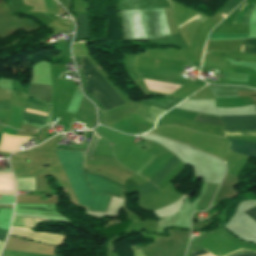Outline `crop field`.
I'll use <instances>...</instances> for the list:
<instances>
[{"label":"crop field","instance_id":"crop-field-17","mask_svg":"<svg viewBox=\"0 0 256 256\" xmlns=\"http://www.w3.org/2000/svg\"><path fill=\"white\" fill-rule=\"evenodd\" d=\"M47 221L40 218L14 217L12 225L33 228L36 222Z\"/></svg>","mask_w":256,"mask_h":256},{"label":"crop field","instance_id":"crop-field-22","mask_svg":"<svg viewBox=\"0 0 256 256\" xmlns=\"http://www.w3.org/2000/svg\"><path fill=\"white\" fill-rule=\"evenodd\" d=\"M1 256H47V255L21 253V252H11V251H5L4 250Z\"/></svg>","mask_w":256,"mask_h":256},{"label":"crop field","instance_id":"crop-field-8","mask_svg":"<svg viewBox=\"0 0 256 256\" xmlns=\"http://www.w3.org/2000/svg\"><path fill=\"white\" fill-rule=\"evenodd\" d=\"M212 33H248V26L219 25ZM248 34H211L210 38H244Z\"/></svg>","mask_w":256,"mask_h":256},{"label":"crop field","instance_id":"crop-field-31","mask_svg":"<svg viewBox=\"0 0 256 256\" xmlns=\"http://www.w3.org/2000/svg\"><path fill=\"white\" fill-rule=\"evenodd\" d=\"M3 1L2 0H0V3H2Z\"/></svg>","mask_w":256,"mask_h":256},{"label":"crop field","instance_id":"crop-field-11","mask_svg":"<svg viewBox=\"0 0 256 256\" xmlns=\"http://www.w3.org/2000/svg\"><path fill=\"white\" fill-rule=\"evenodd\" d=\"M0 193L15 194V183L10 169H0Z\"/></svg>","mask_w":256,"mask_h":256},{"label":"crop field","instance_id":"crop-field-2","mask_svg":"<svg viewBox=\"0 0 256 256\" xmlns=\"http://www.w3.org/2000/svg\"><path fill=\"white\" fill-rule=\"evenodd\" d=\"M146 39L168 36L164 8L139 10ZM138 10L122 11L124 38L145 39Z\"/></svg>","mask_w":256,"mask_h":256},{"label":"crop field","instance_id":"crop-field-13","mask_svg":"<svg viewBox=\"0 0 256 256\" xmlns=\"http://www.w3.org/2000/svg\"><path fill=\"white\" fill-rule=\"evenodd\" d=\"M210 89L213 91L215 98L237 97L236 90H252L244 87H232V86H210Z\"/></svg>","mask_w":256,"mask_h":256},{"label":"crop field","instance_id":"crop-field-5","mask_svg":"<svg viewBox=\"0 0 256 256\" xmlns=\"http://www.w3.org/2000/svg\"><path fill=\"white\" fill-rule=\"evenodd\" d=\"M246 44L245 52L256 55V40H243ZM245 45H243L244 52ZM242 40L238 41H208L207 51H241Z\"/></svg>","mask_w":256,"mask_h":256},{"label":"crop field","instance_id":"crop-field-32","mask_svg":"<svg viewBox=\"0 0 256 256\" xmlns=\"http://www.w3.org/2000/svg\"><path fill=\"white\" fill-rule=\"evenodd\" d=\"M0 137H1V133H0Z\"/></svg>","mask_w":256,"mask_h":256},{"label":"crop field","instance_id":"crop-field-1","mask_svg":"<svg viewBox=\"0 0 256 256\" xmlns=\"http://www.w3.org/2000/svg\"><path fill=\"white\" fill-rule=\"evenodd\" d=\"M79 203L88 210L106 212L110 195H92L83 175L86 150L54 148Z\"/></svg>","mask_w":256,"mask_h":256},{"label":"crop field","instance_id":"crop-field-10","mask_svg":"<svg viewBox=\"0 0 256 256\" xmlns=\"http://www.w3.org/2000/svg\"><path fill=\"white\" fill-rule=\"evenodd\" d=\"M230 143V150L239 152L243 155L250 156L256 158V144L238 141V140H231L228 139Z\"/></svg>","mask_w":256,"mask_h":256},{"label":"crop field","instance_id":"crop-field-23","mask_svg":"<svg viewBox=\"0 0 256 256\" xmlns=\"http://www.w3.org/2000/svg\"><path fill=\"white\" fill-rule=\"evenodd\" d=\"M207 18L208 17L198 13L195 16H193L192 18H190L189 20H187L186 22H184L183 24H181L180 26H178V28L183 26V25H185V24H187V23H189V22H191V21H193V20H196V21H199V22L203 23L202 21L207 19Z\"/></svg>","mask_w":256,"mask_h":256},{"label":"crop field","instance_id":"crop-field-12","mask_svg":"<svg viewBox=\"0 0 256 256\" xmlns=\"http://www.w3.org/2000/svg\"><path fill=\"white\" fill-rule=\"evenodd\" d=\"M11 164L15 177H31L29 165L24 158L14 156L11 158Z\"/></svg>","mask_w":256,"mask_h":256},{"label":"crop field","instance_id":"crop-field-25","mask_svg":"<svg viewBox=\"0 0 256 256\" xmlns=\"http://www.w3.org/2000/svg\"><path fill=\"white\" fill-rule=\"evenodd\" d=\"M58 2L67 10L70 16H73V14L70 12V8H71L70 0H58Z\"/></svg>","mask_w":256,"mask_h":256},{"label":"crop field","instance_id":"crop-field-33","mask_svg":"<svg viewBox=\"0 0 256 256\" xmlns=\"http://www.w3.org/2000/svg\"><path fill=\"white\" fill-rule=\"evenodd\" d=\"M254 256H256V255H254Z\"/></svg>","mask_w":256,"mask_h":256},{"label":"crop field","instance_id":"crop-field-28","mask_svg":"<svg viewBox=\"0 0 256 256\" xmlns=\"http://www.w3.org/2000/svg\"><path fill=\"white\" fill-rule=\"evenodd\" d=\"M245 213L248 214L251 218H253L256 221V207Z\"/></svg>","mask_w":256,"mask_h":256},{"label":"crop field","instance_id":"crop-field-29","mask_svg":"<svg viewBox=\"0 0 256 256\" xmlns=\"http://www.w3.org/2000/svg\"><path fill=\"white\" fill-rule=\"evenodd\" d=\"M4 133H9V134H13V135H16L17 131L16 130H13V129H10V128H7L5 127V129L3 130Z\"/></svg>","mask_w":256,"mask_h":256},{"label":"crop field","instance_id":"crop-field-6","mask_svg":"<svg viewBox=\"0 0 256 256\" xmlns=\"http://www.w3.org/2000/svg\"><path fill=\"white\" fill-rule=\"evenodd\" d=\"M25 108L30 109V110H35V111L46 112V113H48V111H49V106H47L43 103L34 101L29 98H27V100H26ZM26 109H24V111H26V112H30V113H34V114H38V115H42V116H46V117L48 115L46 113L35 112V111L26 110ZM23 120L44 125L46 118L24 112Z\"/></svg>","mask_w":256,"mask_h":256},{"label":"crop field","instance_id":"crop-field-30","mask_svg":"<svg viewBox=\"0 0 256 256\" xmlns=\"http://www.w3.org/2000/svg\"><path fill=\"white\" fill-rule=\"evenodd\" d=\"M9 109V101L0 103V110Z\"/></svg>","mask_w":256,"mask_h":256},{"label":"crop field","instance_id":"crop-field-9","mask_svg":"<svg viewBox=\"0 0 256 256\" xmlns=\"http://www.w3.org/2000/svg\"><path fill=\"white\" fill-rule=\"evenodd\" d=\"M28 96L50 104L52 99L50 85L31 84Z\"/></svg>","mask_w":256,"mask_h":256},{"label":"crop field","instance_id":"crop-field-15","mask_svg":"<svg viewBox=\"0 0 256 256\" xmlns=\"http://www.w3.org/2000/svg\"><path fill=\"white\" fill-rule=\"evenodd\" d=\"M178 162V159L173 155L172 158L166 163V165L160 170V172L150 181L157 186Z\"/></svg>","mask_w":256,"mask_h":256},{"label":"crop field","instance_id":"crop-field-21","mask_svg":"<svg viewBox=\"0 0 256 256\" xmlns=\"http://www.w3.org/2000/svg\"><path fill=\"white\" fill-rule=\"evenodd\" d=\"M225 135L256 136V130H241L225 132Z\"/></svg>","mask_w":256,"mask_h":256},{"label":"crop field","instance_id":"crop-field-16","mask_svg":"<svg viewBox=\"0 0 256 256\" xmlns=\"http://www.w3.org/2000/svg\"><path fill=\"white\" fill-rule=\"evenodd\" d=\"M246 5V4H245ZM244 5V6H245ZM243 6V7H244ZM242 7V8H243ZM242 8L240 10H242ZM254 5L247 4L242 11H239L232 24L248 25V18L252 12ZM255 9V8H254Z\"/></svg>","mask_w":256,"mask_h":256},{"label":"crop field","instance_id":"crop-field-27","mask_svg":"<svg viewBox=\"0 0 256 256\" xmlns=\"http://www.w3.org/2000/svg\"><path fill=\"white\" fill-rule=\"evenodd\" d=\"M7 233H8V231H6V230H0V241H3V242L5 241V239L7 237ZM3 242H0V250L4 244Z\"/></svg>","mask_w":256,"mask_h":256},{"label":"crop field","instance_id":"crop-field-26","mask_svg":"<svg viewBox=\"0 0 256 256\" xmlns=\"http://www.w3.org/2000/svg\"><path fill=\"white\" fill-rule=\"evenodd\" d=\"M191 256H215L206 250L192 252Z\"/></svg>","mask_w":256,"mask_h":256},{"label":"crop field","instance_id":"crop-field-19","mask_svg":"<svg viewBox=\"0 0 256 256\" xmlns=\"http://www.w3.org/2000/svg\"><path fill=\"white\" fill-rule=\"evenodd\" d=\"M154 190H157V188H155L152 184H150L149 182L140 186L139 187V196L138 198L154 191Z\"/></svg>","mask_w":256,"mask_h":256},{"label":"crop field","instance_id":"crop-field-3","mask_svg":"<svg viewBox=\"0 0 256 256\" xmlns=\"http://www.w3.org/2000/svg\"><path fill=\"white\" fill-rule=\"evenodd\" d=\"M82 74L86 79V90L106 109L118 107L123 101L110 86L97 74L90 63L83 57Z\"/></svg>","mask_w":256,"mask_h":256},{"label":"crop field","instance_id":"crop-field-24","mask_svg":"<svg viewBox=\"0 0 256 256\" xmlns=\"http://www.w3.org/2000/svg\"><path fill=\"white\" fill-rule=\"evenodd\" d=\"M96 135V134H95ZM98 136V135H97ZM94 136V138H93V140H92V143H91V145H90V147H89V149H88V151H87V153H86V155H90V154H93L94 155V149H95V147H96V145H97V143H98V141H99V139L100 138H98V137H100V136Z\"/></svg>","mask_w":256,"mask_h":256},{"label":"crop field","instance_id":"crop-field-14","mask_svg":"<svg viewBox=\"0 0 256 256\" xmlns=\"http://www.w3.org/2000/svg\"><path fill=\"white\" fill-rule=\"evenodd\" d=\"M78 22L80 28L78 31L75 33V39H87L89 37V29H90V24H89V19H88V13L86 14H80L78 15Z\"/></svg>","mask_w":256,"mask_h":256},{"label":"crop field","instance_id":"crop-field-20","mask_svg":"<svg viewBox=\"0 0 256 256\" xmlns=\"http://www.w3.org/2000/svg\"><path fill=\"white\" fill-rule=\"evenodd\" d=\"M243 0H230L226 6L220 11V13L227 15L234 7H236Z\"/></svg>","mask_w":256,"mask_h":256},{"label":"crop field","instance_id":"crop-field-4","mask_svg":"<svg viewBox=\"0 0 256 256\" xmlns=\"http://www.w3.org/2000/svg\"><path fill=\"white\" fill-rule=\"evenodd\" d=\"M85 178L92 191L95 193H106L117 196L119 198L124 197V188L120 184L100 175L90 174L85 168Z\"/></svg>","mask_w":256,"mask_h":256},{"label":"crop field","instance_id":"crop-field-7","mask_svg":"<svg viewBox=\"0 0 256 256\" xmlns=\"http://www.w3.org/2000/svg\"><path fill=\"white\" fill-rule=\"evenodd\" d=\"M225 130L256 129V116L220 117Z\"/></svg>","mask_w":256,"mask_h":256},{"label":"crop field","instance_id":"crop-field-18","mask_svg":"<svg viewBox=\"0 0 256 256\" xmlns=\"http://www.w3.org/2000/svg\"><path fill=\"white\" fill-rule=\"evenodd\" d=\"M193 120L194 121H199V122L210 123V124L222 125L218 117L205 115V114L196 113Z\"/></svg>","mask_w":256,"mask_h":256}]
</instances>
